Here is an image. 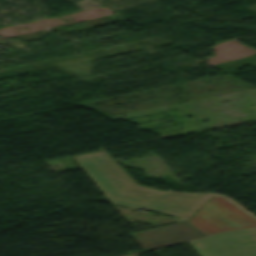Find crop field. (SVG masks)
Masks as SVG:
<instances>
[{"label": "crop field", "mask_w": 256, "mask_h": 256, "mask_svg": "<svg viewBox=\"0 0 256 256\" xmlns=\"http://www.w3.org/2000/svg\"><path fill=\"white\" fill-rule=\"evenodd\" d=\"M215 256H256V230H244L204 238Z\"/></svg>", "instance_id": "obj_3"}, {"label": "crop field", "mask_w": 256, "mask_h": 256, "mask_svg": "<svg viewBox=\"0 0 256 256\" xmlns=\"http://www.w3.org/2000/svg\"><path fill=\"white\" fill-rule=\"evenodd\" d=\"M143 249H149L171 243H176L200 236L198 231L188 222H179L130 235Z\"/></svg>", "instance_id": "obj_4"}, {"label": "crop field", "mask_w": 256, "mask_h": 256, "mask_svg": "<svg viewBox=\"0 0 256 256\" xmlns=\"http://www.w3.org/2000/svg\"><path fill=\"white\" fill-rule=\"evenodd\" d=\"M202 240L190 241L189 243L201 256H214L212 252L201 242Z\"/></svg>", "instance_id": "obj_5"}, {"label": "crop field", "mask_w": 256, "mask_h": 256, "mask_svg": "<svg viewBox=\"0 0 256 256\" xmlns=\"http://www.w3.org/2000/svg\"><path fill=\"white\" fill-rule=\"evenodd\" d=\"M188 221L204 234L256 226V220L218 196H212Z\"/></svg>", "instance_id": "obj_2"}, {"label": "crop field", "mask_w": 256, "mask_h": 256, "mask_svg": "<svg viewBox=\"0 0 256 256\" xmlns=\"http://www.w3.org/2000/svg\"><path fill=\"white\" fill-rule=\"evenodd\" d=\"M73 158L111 202L130 208L146 207L177 217H189L211 197L172 194L137 185L104 151Z\"/></svg>", "instance_id": "obj_1"}]
</instances>
